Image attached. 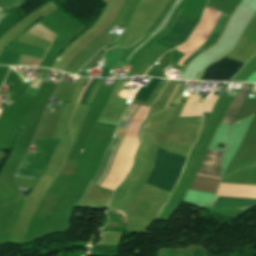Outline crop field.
<instances>
[{
    "mask_svg": "<svg viewBox=\"0 0 256 256\" xmlns=\"http://www.w3.org/2000/svg\"><path fill=\"white\" fill-rule=\"evenodd\" d=\"M185 160V158L158 149L155 167L147 180V184L171 192Z\"/></svg>",
    "mask_w": 256,
    "mask_h": 256,
    "instance_id": "8a807250",
    "label": "crop field"
},
{
    "mask_svg": "<svg viewBox=\"0 0 256 256\" xmlns=\"http://www.w3.org/2000/svg\"><path fill=\"white\" fill-rule=\"evenodd\" d=\"M242 66L243 63L225 57L209 66L202 80L228 81Z\"/></svg>",
    "mask_w": 256,
    "mask_h": 256,
    "instance_id": "34b2d1b8",
    "label": "crop field"
},
{
    "mask_svg": "<svg viewBox=\"0 0 256 256\" xmlns=\"http://www.w3.org/2000/svg\"><path fill=\"white\" fill-rule=\"evenodd\" d=\"M136 107V105L134 104H131V106L128 108V110L125 112L122 120L120 121L118 127H117V130H116V133H115V139L113 140L111 146L109 147V149L107 150L106 152V155H105V158H104V161H103V164H102V167H101V170L99 172V174L97 175V177L92 181V184L96 185V183L100 180V178L104 175L105 171H106V168H107V165H108V162H109V159H110V156H111V153L113 152L114 148L116 147L119 139H120V136H121V132H122V128L125 124V122L127 121V119L129 118L130 114L132 113V111L134 110V108ZM139 108V105L137 106V108L135 109L134 113L132 114L131 118L129 119L124 131H123V134H122V140L120 141L116 151L114 152L113 156H112V160L110 162V166L107 170V173H105L103 179L101 180V182H99L98 185H100L104 179L106 178L107 174H108V171L111 169V166H112V163H113V160H114V157H115V154L118 150V148L120 147V144L122 143L123 139H124V134L126 132V128L128 127L129 123L131 122L134 114L136 113L137 109ZM110 172V171H109Z\"/></svg>",
    "mask_w": 256,
    "mask_h": 256,
    "instance_id": "412701ff",
    "label": "crop field"
},
{
    "mask_svg": "<svg viewBox=\"0 0 256 256\" xmlns=\"http://www.w3.org/2000/svg\"><path fill=\"white\" fill-rule=\"evenodd\" d=\"M229 18V15L221 13L220 17L218 18L216 24L214 25L213 29L211 30L209 36L207 37L206 41L200 46V48L191 56L189 57L184 65L187 66V64L200 52L204 51L206 48L213 45L217 39L219 38L227 20Z\"/></svg>",
    "mask_w": 256,
    "mask_h": 256,
    "instance_id": "d8731c3e",
    "label": "crop field"
},
{
    "mask_svg": "<svg viewBox=\"0 0 256 256\" xmlns=\"http://www.w3.org/2000/svg\"><path fill=\"white\" fill-rule=\"evenodd\" d=\"M251 87H252V85L243 84L238 95L236 96V98L233 100V102L229 106V108L222 120L223 123L232 124L234 122Z\"/></svg>",
    "mask_w": 256,
    "mask_h": 256,
    "instance_id": "e52e79f7",
    "label": "crop field"
},
{
    "mask_svg": "<svg viewBox=\"0 0 256 256\" xmlns=\"http://www.w3.org/2000/svg\"><path fill=\"white\" fill-rule=\"evenodd\" d=\"M91 80H92V79H91ZM91 80H90V81H91ZM96 81H97V79H93V80L89 83V85L87 86V88L85 89V91H84V93H83V95H82L80 104H84V102H85V100H86V98H87V96H88V94H89L91 88L93 87V85L95 84Z\"/></svg>",
    "mask_w": 256,
    "mask_h": 256,
    "instance_id": "3316defc",
    "label": "crop field"
},
{
    "mask_svg": "<svg viewBox=\"0 0 256 256\" xmlns=\"http://www.w3.org/2000/svg\"><path fill=\"white\" fill-rule=\"evenodd\" d=\"M41 174V171H38L27 160L24 159L22 165L19 167L18 172L15 176L38 179L41 176Z\"/></svg>",
    "mask_w": 256,
    "mask_h": 256,
    "instance_id": "5a996713",
    "label": "crop field"
},
{
    "mask_svg": "<svg viewBox=\"0 0 256 256\" xmlns=\"http://www.w3.org/2000/svg\"><path fill=\"white\" fill-rule=\"evenodd\" d=\"M223 152L208 150L198 173L220 177L218 169Z\"/></svg>",
    "mask_w": 256,
    "mask_h": 256,
    "instance_id": "f4fd0767",
    "label": "crop field"
},
{
    "mask_svg": "<svg viewBox=\"0 0 256 256\" xmlns=\"http://www.w3.org/2000/svg\"><path fill=\"white\" fill-rule=\"evenodd\" d=\"M197 23L198 20L179 15L169 32L157 40V42L171 49L177 45L183 44L191 35Z\"/></svg>",
    "mask_w": 256,
    "mask_h": 256,
    "instance_id": "ac0d7876",
    "label": "crop field"
},
{
    "mask_svg": "<svg viewBox=\"0 0 256 256\" xmlns=\"http://www.w3.org/2000/svg\"><path fill=\"white\" fill-rule=\"evenodd\" d=\"M170 99V98H169Z\"/></svg>",
    "mask_w": 256,
    "mask_h": 256,
    "instance_id": "28ad6ade",
    "label": "crop field"
},
{
    "mask_svg": "<svg viewBox=\"0 0 256 256\" xmlns=\"http://www.w3.org/2000/svg\"><path fill=\"white\" fill-rule=\"evenodd\" d=\"M256 204V200L218 196L211 208L248 210Z\"/></svg>",
    "mask_w": 256,
    "mask_h": 256,
    "instance_id": "dd49c442",
    "label": "crop field"
}]
</instances>
